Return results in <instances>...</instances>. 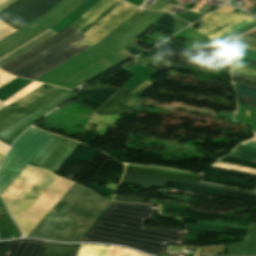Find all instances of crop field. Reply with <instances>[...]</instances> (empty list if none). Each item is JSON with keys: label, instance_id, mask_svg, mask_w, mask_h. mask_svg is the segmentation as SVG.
Masks as SVG:
<instances>
[{"label": "crop field", "instance_id": "crop-field-1", "mask_svg": "<svg viewBox=\"0 0 256 256\" xmlns=\"http://www.w3.org/2000/svg\"><path fill=\"white\" fill-rule=\"evenodd\" d=\"M158 209L113 202L79 241L122 244L150 254L165 253L167 244L183 246L185 230L145 227Z\"/></svg>", "mask_w": 256, "mask_h": 256}, {"label": "crop field", "instance_id": "crop-field-2", "mask_svg": "<svg viewBox=\"0 0 256 256\" xmlns=\"http://www.w3.org/2000/svg\"><path fill=\"white\" fill-rule=\"evenodd\" d=\"M111 203L76 183L29 237L78 241Z\"/></svg>", "mask_w": 256, "mask_h": 256}, {"label": "crop field", "instance_id": "crop-field-3", "mask_svg": "<svg viewBox=\"0 0 256 256\" xmlns=\"http://www.w3.org/2000/svg\"><path fill=\"white\" fill-rule=\"evenodd\" d=\"M136 10L137 8L122 1L109 13L102 17L98 22H96L92 27H90L86 32L83 33L88 37L78 32L10 73L17 76L25 74L86 37L87 38L82 42L90 47L100 41L104 36H106L110 31H112L116 26H118ZM83 43L80 42L76 44L75 46L21 77L32 80L38 78L39 76L62 64L78 53L89 48Z\"/></svg>", "mask_w": 256, "mask_h": 256}, {"label": "crop field", "instance_id": "crop-field-4", "mask_svg": "<svg viewBox=\"0 0 256 256\" xmlns=\"http://www.w3.org/2000/svg\"><path fill=\"white\" fill-rule=\"evenodd\" d=\"M75 95L72 91L44 84L23 96L0 110V140L11 145L43 115Z\"/></svg>", "mask_w": 256, "mask_h": 256}, {"label": "crop field", "instance_id": "crop-field-5", "mask_svg": "<svg viewBox=\"0 0 256 256\" xmlns=\"http://www.w3.org/2000/svg\"><path fill=\"white\" fill-rule=\"evenodd\" d=\"M51 134L30 127L11 147L0 169V195L29 164Z\"/></svg>", "mask_w": 256, "mask_h": 256}, {"label": "crop field", "instance_id": "crop-field-6", "mask_svg": "<svg viewBox=\"0 0 256 256\" xmlns=\"http://www.w3.org/2000/svg\"><path fill=\"white\" fill-rule=\"evenodd\" d=\"M124 172L165 177V178H173V179H181V180H188V181H196V182H199L202 177L201 175H197V174L169 171V170L142 167V166H132V165H126ZM127 173L123 174V178L121 182L161 187V188H165L168 182H175V183H183V184L207 187V188H212V189L221 190V191L242 193L245 195L256 197L255 193L226 188V187L217 186V185L165 179V178H158V177H150V176H142V175H135V174H127Z\"/></svg>", "mask_w": 256, "mask_h": 256}, {"label": "crop field", "instance_id": "crop-field-7", "mask_svg": "<svg viewBox=\"0 0 256 256\" xmlns=\"http://www.w3.org/2000/svg\"><path fill=\"white\" fill-rule=\"evenodd\" d=\"M114 1L115 0L99 1L90 10H88L84 15H82L73 24H71L70 27L79 31L86 24H88L92 19H94L97 15H99L103 10H105L109 5H111ZM76 32L77 31L68 27V28L64 29L63 31L59 32L58 34L54 35L53 37L42 42L41 44L37 45L36 47L32 48L31 50L27 51L26 53L22 54L21 56L15 58L14 60L5 64L1 68L10 72V71L14 70L15 68L19 67L20 65L24 64L25 62L36 57L37 55L41 54L42 52L46 51L47 49L51 48L52 46L56 45L57 43L63 41L64 39L68 38L69 36L73 35Z\"/></svg>", "mask_w": 256, "mask_h": 256}, {"label": "crop field", "instance_id": "crop-field-8", "mask_svg": "<svg viewBox=\"0 0 256 256\" xmlns=\"http://www.w3.org/2000/svg\"><path fill=\"white\" fill-rule=\"evenodd\" d=\"M61 0H23L0 14V20L19 29L47 13Z\"/></svg>", "mask_w": 256, "mask_h": 256}, {"label": "crop field", "instance_id": "crop-field-9", "mask_svg": "<svg viewBox=\"0 0 256 256\" xmlns=\"http://www.w3.org/2000/svg\"><path fill=\"white\" fill-rule=\"evenodd\" d=\"M78 144L77 142L52 135L30 164L56 172Z\"/></svg>", "mask_w": 256, "mask_h": 256}, {"label": "crop field", "instance_id": "crop-field-10", "mask_svg": "<svg viewBox=\"0 0 256 256\" xmlns=\"http://www.w3.org/2000/svg\"><path fill=\"white\" fill-rule=\"evenodd\" d=\"M153 84L144 81L139 85L135 92L124 87L120 88L111 96L94 114L114 115L120 113L126 114L137 110L142 94Z\"/></svg>", "mask_w": 256, "mask_h": 256}, {"label": "crop field", "instance_id": "crop-field-11", "mask_svg": "<svg viewBox=\"0 0 256 256\" xmlns=\"http://www.w3.org/2000/svg\"><path fill=\"white\" fill-rule=\"evenodd\" d=\"M47 243L38 240L10 241L3 256H41Z\"/></svg>", "mask_w": 256, "mask_h": 256}, {"label": "crop field", "instance_id": "crop-field-12", "mask_svg": "<svg viewBox=\"0 0 256 256\" xmlns=\"http://www.w3.org/2000/svg\"><path fill=\"white\" fill-rule=\"evenodd\" d=\"M230 42L256 50V29L244 33L232 39ZM221 50L256 60V51L249 50L243 47L227 43L221 48Z\"/></svg>", "mask_w": 256, "mask_h": 256}, {"label": "crop field", "instance_id": "crop-field-13", "mask_svg": "<svg viewBox=\"0 0 256 256\" xmlns=\"http://www.w3.org/2000/svg\"><path fill=\"white\" fill-rule=\"evenodd\" d=\"M52 30H47L44 33L40 34L39 36L33 38L32 40L28 41L27 43L23 44L22 46L18 47L17 49L13 50L12 52L8 53L7 55L0 58V66L4 65L5 63L9 62L10 60L14 59L15 57L19 56L20 54L24 53L25 51L31 49L32 47L36 46L37 44L41 43L42 41L46 40L47 38L54 35Z\"/></svg>", "mask_w": 256, "mask_h": 256}, {"label": "crop field", "instance_id": "crop-field-14", "mask_svg": "<svg viewBox=\"0 0 256 256\" xmlns=\"http://www.w3.org/2000/svg\"><path fill=\"white\" fill-rule=\"evenodd\" d=\"M80 244L49 243L43 256H75Z\"/></svg>", "mask_w": 256, "mask_h": 256}, {"label": "crop field", "instance_id": "crop-field-15", "mask_svg": "<svg viewBox=\"0 0 256 256\" xmlns=\"http://www.w3.org/2000/svg\"><path fill=\"white\" fill-rule=\"evenodd\" d=\"M228 59L230 61V70L232 73L256 79V66L249 65L245 62H241L231 58Z\"/></svg>", "mask_w": 256, "mask_h": 256}, {"label": "crop field", "instance_id": "crop-field-16", "mask_svg": "<svg viewBox=\"0 0 256 256\" xmlns=\"http://www.w3.org/2000/svg\"><path fill=\"white\" fill-rule=\"evenodd\" d=\"M228 155L252 160L256 162V149L239 145L232 150Z\"/></svg>", "mask_w": 256, "mask_h": 256}, {"label": "crop field", "instance_id": "crop-field-17", "mask_svg": "<svg viewBox=\"0 0 256 256\" xmlns=\"http://www.w3.org/2000/svg\"><path fill=\"white\" fill-rule=\"evenodd\" d=\"M252 22H254V19L252 17H250V18H248V19H246V20H244V21H242V22H240L238 24H235V25H233V26H231V27H229V28H227V29H225L223 31H220V32H218V33H216V34H214V35H212L210 37H208V36L207 37L212 39V40H215V39H217V38H219V37H221L223 35H226V34L232 32V31H235V30H237V29H239V28H241L243 26H246V25L252 23Z\"/></svg>", "mask_w": 256, "mask_h": 256}, {"label": "crop field", "instance_id": "crop-field-18", "mask_svg": "<svg viewBox=\"0 0 256 256\" xmlns=\"http://www.w3.org/2000/svg\"><path fill=\"white\" fill-rule=\"evenodd\" d=\"M219 161L220 162L237 164V165H241V166H245V167L256 169V163L255 162L244 160V159H240V158H236V157H232V156H228V155H226L225 157H223Z\"/></svg>", "mask_w": 256, "mask_h": 256}, {"label": "crop field", "instance_id": "crop-field-19", "mask_svg": "<svg viewBox=\"0 0 256 256\" xmlns=\"http://www.w3.org/2000/svg\"><path fill=\"white\" fill-rule=\"evenodd\" d=\"M233 10H235V9L230 7V6L225 5L224 7L220 8L219 10H217V11L211 13V14L206 15L201 20L209 23V22H211V21H213V20H215V19H217V18H219V17H221V16H223V15H225V14H227V13L233 11Z\"/></svg>", "mask_w": 256, "mask_h": 256}, {"label": "crop field", "instance_id": "crop-field-20", "mask_svg": "<svg viewBox=\"0 0 256 256\" xmlns=\"http://www.w3.org/2000/svg\"><path fill=\"white\" fill-rule=\"evenodd\" d=\"M233 85L236 89V93L256 99V89L251 88V87H247V86H244V85H240V84H237V83H233Z\"/></svg>", "mask_w": 256, "mask_h": 256}, {"label": "crop field", "instance_id": "crop-field-21", "mask_svg": "<svg viewBox=\"0 0 256 256\" xmlns=\"http://www.w3.org/2000/svg\"><path fill=\"white\" fill-rule=\"evenodd\" d=\"M231 78H232L233 82H237V83H240V84H244V85L256 88V80L249 79V78L239 76V75H236V74H232V73H231Z\"/></svg>", "mask_w": 256, "mask_h": 256}, {"label": "crop field", "instance_id": "crop-field-22", "mask_svg": "<svg viewBox=\"0 0 256 256\" xmlns=\"http://www.w3.org/2000/svg\"><path fill=\"white\" fill-rule=\"evenodd\" d=\"M115 201H123V202H137V203H144L146 199L143 198H136L130 196H121L116 195L114 198Z\"/></svg>", "mask_w": 256, "mask_h": 256}, {"label": "crop field", "instance_id": "crop-field-23", "mask_svg": "<svg viewBox=\"0 0 256 256\" xmlns=\"http://www.w3.org/2000/svg\"><path fill=\"white\" fill-rule=\"evenodd\" d=\"M238 99H240L242 102L248 104V105H252L256 107V100L241 96V95H237Z\"/></svg>", "mask_w": 256, "mask_h": 256}, {"label": "crop field", "instance_id": "crop-field-24", "mask_svg": "<svg viewBox=\"0 0 256 256\" xmlns=\"http://www.w3.org/2000/svg\"><path fill=\"white\" fill-rule=\"evenodd\" d=\"M18 0H0V11Z\"/></svg>", "mask_w": 256, "mask_h": 256}, {"label": "crop field", "instance_id": "crop-field-25", "mask_svg": "<svg viewBox=\"0 0 256 256\" xmlns=\"http://www.w3.org/2000/svg\"><path fill=\"white\" fill-rule=\"evenodd\" d=\"M242 145L250 146L256 148V142L250 141L249 143L243 142Z\"/></svg>", "mask_w": 256, "mask_h": 256}, {"label": "crop field", "instance_id": "crop-field-26", "mask_svg": "<svg viewBox=\"0 0 256 256\" xmlns=\"http://www.w3.org/2000/svg\"><path fill=\"white\" fill-rule=\"evenodd\" d=\"M7 242H3V243H0V256L5 248V245H6Z\"/></svg>", "mask_w": 256, "mask_h": 256}, {"label": "crop field", "instance_id": "crop-field-27", "mask_svg": "<svg viewBox=\"0 0 256 256\" xmlns=\"http://www.w3.org/2000/svg\"><path fill=\"white\" fill-rule=\"evenodd\" d=\"M7 104L3 103L0 101V109L3 108L4 106H6Z\"/></svg>", "mask_w": 256, "mask_h": 256}, {"label": "crop field", "instance_id": "crop-field-28", "mask_svg": "<svg viewBox=\"0 0 256 256\" xmlns=\"http://www.w3.org/2000/svg\"><path fill=\"white\" fill-rule=\"evenodd\" d=\"M82 245H97V244H82ZM98 246H106V245H98Z\"/></svg>", "mask_w": 256, "mask_h": 256}, {"label": "crop field", "instance_id": "crop-field-29", "mask_svg": "<svg viewBox=\"0 0 256 256\" xmlns=\"http://www.w3.org/2000/svg\"><path fill=\"white\" fill-rule=\"evenodd\" d=\"M249 63H252V64L256 65V61H254V60H250Z\"/></svg>", "mask_w": 256, "mask_h": 256}, {"label": "crop field", "instance_id": "crop-field-30", "mask_svg": "<svg viewBox=\"0 0 256 256\" xmlns=\"http://www.w3.org/2000/svg\"><path fill=\"white\" fill-rule=\"evenodd\" d=\"M256 191V190H255Z\"/></svg>", "mask_w": 256, "mask_h": 256}]
</instances>
